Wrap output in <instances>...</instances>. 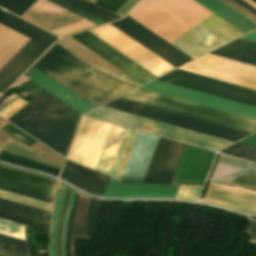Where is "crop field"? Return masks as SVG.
<instances>
[{"label": "crop field", "instance_id": "crop-field-1", "mask_svg": "<svg viewBox=\"0 0 256 256\" xmlns=\"http://www.w3.org/2000/svg\"><path fill=\"white\" fill-rule=\"evenodd\" d=\"M128 15L170 43L212 13L193 0H142ZM128 15L110 24L175 68L225 44L198 25L171 43L191 59Z\"/></svg>", "mask_w": 256, "mask_h": 256}, {"label": "crop field", "instance_id": "crop-field-2", "mask_svg": "<svg viewBox=\"0 0 256 256\" xmlns=\"http://www.w3.org/2000/svg\"><path fill=\"white\" fill-rule=\"evenodd\" d=\"M24 76L81 114L95 108L33 67ZM45 90L8 121L65 156L81 114Z\"/></svg>", "mask_w": 256, "mask_h": 256}, {"label": "crop field", "instance_id": "crop-field-3", "mask_svg": "<svg viewBox=\"0 0 256 256\" xmlns=\"http://www.w3.org/2000/svg\"><path fill=\"white\" fill-rule=\"evenodd\" d=\"M33 67L95 107L136 87L94 70L56 44Z\"/></svg>", "mask_w": 256, "mask_h": 256}, {"label": "crop field", "instance_id": "crop-field-4", "mask_svg": "<svg viewBox=\"0 0 256 256\" xmlns=\"http://www.w3.org/2000/svg\"><path fill=\"white\" fill-rule=\"evenodd\" d=\"M92 30L99 34L101 39L157 77L175 69L109 24ZM93 31L91 32L97 35ZM71 37L141 84L156 78L88 31Z\"/></svg>", "mask_w": 256, "mask_h": 256}, {"label": "crop field", "instance_id": "crop-field-5", "mask_svg": "<svg viewBox=\"0 0 256 256\" xmlns=\"http://www.w3.org/2000/svg\"><path fill=\"white\" fill-rule=\"evenodd\" d=\"M0 24L47 47L57 39L8 13L0 19ZM2 25H0V68L29 40ZM31 39L0 69V93L47 49Z\"/></svg>", "mask_w": 256, "mask_h": 256}, {"label": "crop field", "instance_id": "crop-field-6", "mask_svg": "<svg viewBox=\"0 0 256 256\" xmlns=\"http://www.w3.org/2000/svg\"><path fill=\"white\" fill-rule=\"evenodd\" d=\"M211 181L256 191V165L220 155ZM212 182L200 201L256 214L255 191Z\"/></svg>", "mask_w": 256, "mask_h": 256}, {"label": "crop field", "instance_id": "crop-field-7", "mask_svg": "<svg viewBox=\"0 0 256 256\" xmlns=\"http://www.w3.org/2000/svg\"><path fill=\"white\" fill-rule=\"evenodd\" d=\"M158 138L139 133L121 181H142ZM184 146L160 137L142 182L170 184Z\"/></svg>", "mask_w": 256, "mask_h": 256}, {"label": "crop field", "instance_id": "crop-field-8", "mask_svg": "<svg viewBox=\"0 0 256 256\" xmlns=\"http://www.w3.org/2000/svg\"><path fill=\"white\" fill-rule=\"evenodd\" d=\"M109 125L83 117L67 159L93 170ZM138 133L125 129L108 176L121 180Z\"/></svg>", "mask_w": 256, "mask_h": 256}, {"label": "crop field", "instance_id": "crop-field-9", "mask_svg": "<svg viewBox=\"0 0 256 256\" xmlns=\"http://www.w3.org/2000/svg\"><path fill=\"white\" fill-rule=\"evenodd\" d=\"M84 115L213 151L233 143L103 106Z\"/></svg>", "mask_w": 256, "mask_h": 256}, {"label": "crop field", "instance_id": "crop-field-10", "mask_svg": "<svg viewBox=\"0 0 256 256\" xmlns=\"http://www.w3.org/2000/svg\"><path fill=\"white\" fill-rule=\"evenodd\" d=\"M121 98L144 103L180 114L192 116L243 131L256 132V121L237 116L227 112L219 111L209 107L201 106L191 102L183 101L173 97L165 96L144 89H136Z\"/></svg>", "mask_w": 256, "mask_h": 256}, {"label": "crop field", "instance_id": "crop-field-11", "mask_svg": "<svg viewBox=\"0 0 256 256\" xmlns=\"http://www.w3.org/2000/svg\"><path fill=\"white\" fill-rule=\"evenodd\" d=\"M103 106L236 142L251 133L118 98Z\"/></svg>", "mask_w": 256, "mask_h": 256}, {"label": "crop field", "instance_id": "crop-field-12", "mask_svg": "<svg viewBox=\"0 0 256 256\" xmlns=\"http://www.w3.org/2000/svg\"><path fill=\"white\" fill-rule=\"evenodd\" d=\"M156 80L256 107V91L175 69Z\"/></svg>", "mask_w": 256, "mask_h": 256}, {"label": "crop field", "instance_id": "crop-field-13", "mask_svg": "<svg viewBox=\"0 0 256 256\" xmlns=\"http://www.w3.org/2000/svg\"><path fill=\"white\" fill-rule=\"evenodd\" d=\"M140 88L227 111L256 120V108L153 80Z\"/></svg>", "mask_w": 256, "mask_h": 256}, {"label": "crop field", "instance_id": "crop-field-14", "mask_svg": "<svg viewBox=\"0 0 256 256\" xmlns=\"http://www.w3.org/2000/svg\"><path fill=\"white\" fill-rule=\"evenodd\" d=\"M0 180L9 182L12 184H16L19 186L27 187L30 189H34L37 191L45 192L48 194H52V195L57 185V183H54L50 180H47L38 176L26 174V173L14 171L1 166H0ZM1 181H0V190H4L7 192H11L14 194L22 195L25 197L33 198L36 200H40V201L52 204V195L37 192L34 190H30L27 188L19 187V186L1 182Z\"/></svg>", "mask_w": 256, "mask_h": 256}, {"label": "crop field", "instance_id": "crop-field-15", "mask_svg": "<svg viewBox=\"0 0 256 256\" xmlns=\"http://www.w3.org/2000/svg\"><path fill=\"white\" fill-rule=\"evenodd\" d=\"M118 182L109 179L103 196L175 198L180 187L170 185L130 184Z\"/></svg>", "mask_w": 256, "mask_h": 256}, {"label": "crop field", "instance_id": "crop-field-16", "mask_svg": "<svg viewBox=\"0 0 256 256\" xmlns=\"http://www.w3.org/2000/svg\"><path fill=\"white\" fill-rule=\"evenodd\" d=\"M60 179L91 194L101 196L107 182V177L87 170L83 167L66 162Z\"/></svg>", "mask_w": 256, "mask_h": 256}, {"label": "crop field", "instance_id": "crop-field-17", "mask_svg": "<svg viewBox=\"0 0 256 256\" xmlns=\"http://www.w3.org/2000/svg\"><path fill=\"white\" fill-rule=\"evenodd\" d=\"M59 45L94 67L95 69L119 78L125 75L123 72L73 40L72 38L62 41Z\"/></svg>", "mask_w": 256, "mask_h": 256}, {"label": "crop field", "instance_id": "crop-field-18", "mask_svg": "<svg viewBox=\"0 0 256 256\" xmlns=\"http://www.w3.org/2000/svg\"><path fill=\"white\" fill-rule=\"evenodd\" d=\"M201 5L215 13L218 17L246 34L254 29L256 25L220 2L219 0H195Z\"/></svg>", "mask_w": 256, "mask_h": 256}, {"label": "crop field", "instance_id": "crop-field-19", "mask_svg": "<svg viewBox=\"0 0 256 256\" xmlns=\"http://www.w3.org/2000/svg\"><path fill=\"white\" fill-rule=\"evenodd\" d=\"M0 233L25 240L24 226L0 219ZM0 234V249L26 256L25 241Z\"/></svg>", "mask_w": 256, "mask_h": 256}, {"label": "crop field", "instance_id": "crop-field-20", "mask_svg": "<svg viewBox=\"0 0 256 256\" xmlns=\"http://www.w3.org/2000/svg\"><path fill=\"white\" fill-rule=\"evenodd\" d=\"M241 39V38H240ZM237 39L210 54L256 66V43Z\"/></svg>", "mask_w": 256, "mask_h": 256}, {"label": "crop field", "instance_id": "crop-field-21", "mask_svg": "<svg viewBox=\"0 0 256 256\" xmlns=\"http://www.w3.org/2000/svg\"><path fill=\"white\" fill-rule=\"evenodd\" d=\"M0 211L48 225L51 216L50 212L21 205L4 199H0Z\"/></svg>", "mask_w": 256, "mask_h": 256}, {"label": "crop field", "instance_id": "crop-field-22", "mask_svg": "<svg viewBox=\"0 0 256 256\" xmlns=\"http://www.w3.org/2000/svg\"><path fill=\"white\" fill-rule=\"evenodd\" d=\"M90 198L79 194L74 223L71 230V256H75V239H83Z\"/></svg>", "mask_w": 256, "mask_h": 256}, {"label": "crop field", "instance_id": "crop-field-23", "mask_svg": "<svg viewBox=\"0 0 256 256\" xmlns=\"http://www.w3.org/2000/svg\"><path fill=\"white\" fill-rule=\"evenodd\" d=\"M64 192H65V188L59 185L57 189L56 197H55V206H54L53 219H52V230L50 233V256H56L55 243H56V235L58 230L60 212H61V208L64 200Z\"/></svg>", "mask_w": 256, "mask_h": 256}, {"label": "crop field", "instance_id": "crop-field-24", "mask_svg": "<svg viewBox=\"0 0 256 256\" xmlns=\"http://www.w3.org/2000/svg\"><path fill=\"white\" fill-rule=\"evenodd\" d=\"M0 160H4V161L10 162V163L28 167V168H31L34 170L47 172V173L53 174L55 176H57L60 171L59 169H56V168H53V167H50L47 165H43V164L28 160V159H25V158H22V157H19L16 155H12V154H9V153L3 152V151L0 154Z\"/></svg>", "mask_w": 256, "mask_h": 256}, {"label": "crop field", "instance_id": "crop-field-25", "mask_svg": "<svg viewBox=\"0 0 256 256\" xmlns=\"http://www.w3.org/2000/svg\"><path fill=\"white\" fill-rule=\"evenodd\" d=\"M105 22L118 18V16L86 1V0H63Z\"/></svg>", "mask_w": 256, "mask_h": 256}, {"label": "crop field", "instance_id": "crop-field-26", "mask_svg": "<svg viewBox=\"0 0 256 256\" xmlns=\"http://www.w3.org/2000/svg\"><path fill=\"white\" fill-rule=\"evenodd\" d=\"M219 152L256 162V147L244 143L237 142Z\"/></svg>", "mask_w": 256, "mask_h": 256}, {"label": "crop field", "instance_id": "crop-field-27", "mask_svg": "<svg viewBox=\"0 0 256 256\" xmlns=\"http://www.w3.org/2000/svg\"><path fill=\"white\" fill-rule=\"evenodd\" d=\"M127 0H97L95 4L104 7L112 12H116ZM138 0H128L116 14L121 17L137 2Z\"/></svg>", "mask_w": 256, "mask_h": 256}, {"label": "crop field", "instance_id": "crop-field-28", "mask_svg": "<svg viewBox=\"0 0 256 256\" xmlns=\"http://www.w3.org/2000/svg\"><path fill=\"white\" fill-rule=\"evenodd\" d=\"M100 210V201L92 199L90 201L84 239L90 240L93 235L94 227Z\"/></svg>", "mask_w": 256, "mask_h": 256}, {"label": "crop field", "instance_id": "crop-field-29", "mask_svg": "<svg viewBox=\"0 0 256 256\" xmlns=\"http://www.w3.org/2000/svg\"><path fill=\"white\" fill-rule=\"evenodd\" d=\"M92 25H95V24H93L85 19H82L80 21H77V22L59 27L57 29L51 30L50 32L61 37V36L67 35L69 33L87 28Z\"/></svg>", "mask_w": 256, "mask_h": 256}, {"label": "crop field", "instance_id": "crop-field-30", "mask_svg": "<svg viewBox=\"0 0 256 256\" xmlns=\"http://www.w3.org/2000/svg\"><path fill=\"white\" fill-rule=\"evenodd\" d=\"M0 131L25 143L29 147H31L33 144L37 142L32 138L28 137L27 135L23 134L22 132L18 131L8 123L2 129H0Z\"/></svg>", "mask_w": 256, "mask_h": 256}, {"label": "crop field", "instance_id": "crop-field-31", "mask_svg": "<svg viewBox=\"0 0 256 256\" xmlns=\"http://www.w3.org/2000/svg\"><path fill=\"white\" fill-rule=\"evenodd\" d=\"M202 187L181 186L176 198L198 200Z\"/></svg>", "mask_w": 256, "mask_h": 256}, {"label": "crop field", "instance_id": "crop-field-32", "mask_svg": "<svg viewBox=\"0 0 256 256\" xmlns=\"http://www.w3.org/2000/svg\"><path fill=\"white\" fill-rule=\"evenodd\" d=\"M26 104H27V102L18 98L14 102H12L10 105L5 107L3 110H1L0 115L8 120L10 117H12L17 111H19Z\"/></svg>", "mask_w": 256, "mask_h": 256}, {"label": "crop field", "instance_id": "crop-field-33", "mask_svg": "<svg viewBox=\"0 0 256 256\" xmlns=\"http://www.w3.org/2000/svg\"><path fill=\"white\" fill-rule=\"evenodd\" d=\"M0 218L11 220V221H14V222H18V223H21V224L29 225V226L36 227V228L43 229V230H47V231H48V228H49L48 225H44V224L37 223V222H34V221L26 220V219L19 218V217H16V216H12V215H9V214H5V213H2V212H0Z\"/></svg>", "mask_w": 256, "mask_h": 256}, {"label": "crop field", "instance_id": "crop-field-34", "mask_svg": "<svg viewBox=\"0 0 256 256\" xmlns=\"http://www.w3.org/2000/svg\"><path fill=\"white\" fill-rule=\"evenodd\" d=\"M31 7L46 10L49 12H66L67 11L47 0H37Z\"/></svg>", "mask_w": 256, "mask_h": 256}, {"label": "crop field", "instance_id": "crop-field-35", "mask_svg": "<svg viewBox=\"0 0 256 256\" xmlns=\"http://www.w3.org/2000/svg\"><path fill=\"white\" fill-rule=\"evenodd\" d=\"M73 194H74V192L71 191L70 203H69V206H68V209H67V212H66L64 225H63L62 240H61V256H65L66 229H67V222H68L69 213H70V210H71V207H72Z\"/></svg>", "mask_w": 256, "mask_h": 256}, {"label": "crop field", "instance_id": "crop-field-36", "mask_svg": "<svg viewBox=\"0 0 256 256\" xmlns=\"http://www.w3.org/2000/svg\"><path fill=\"white\" fill-rule=\"evenodd\" d=\"M77 196H78V194L75 193L74 207H73V210L70 215L69 222H68L67 239H66V256H70V230H71V226H72V222H73V218H74Z\"/></svg>", "mask_w": 256, "mask_h": 256}, {"label": "crop field", "instance_id": "crop-field-37", "mask_svg": "<svg viewBox=\"0 0 256 256\" xmlns=\"http://www.w3.org/2000/svg\"><path fill=\"white\" fill-rule=\"evenodd\" d=\"M25 0H0V7L13 12Z\"/></svg>", "mask_w": 256, "mask_h": 256}, {"label": "crop field", "instance_id": "crop-field-38", "mask_svg": "<svg viewBox=\"0 0 256 256\" xmlns=\"http://www.w3.org/2000/svg\"><path fill=\"white\" fill-rule=\"evenodd\" d=\"M223 1L229 4L230 6H232L233 8H235L236 10H238L239 12H241L242 14H244L245 16H247L248 18H250L251 20H253L254 22H256L255 15H253L252 13H250L249 11H247L246 9H244L234 1L232 0H223Z\"/></svg>", "mask_w": 256, "mask_h": 256}, {"label": "crop field", "instance_id": "crop-field-39", "mask_svg": "<svg viewBox=\"0 0 256 256\" xmlns=\"http://www.w3.org/2000/svg\"><path fill=\"white\" fill-rule=\"evenodd\" d=\"M244 233L251 235L248 243L256 245V222L250 220Z\"/></svg>", "mask_w": 256, "mask_h": 256}, {"label": "crop field", "instance_id": "crop-field-40", "mask_svg": "<svg viewBox=\"0 0 256 256\" xmlns=\"http://www.w3.org/2000/svg\"><path fill=\"white\" fill-rule=\"evenodd\" d=\"M35 0H26L20 7H18L13 13L21 15Z\"/></svg>", "mask_w": 256, "mask_h": 256}, {"label": "crop field", "instance_id": "crop-field-41", "mask_svg": "<svg viewBox=\"0 0 256 256\" xmlns=\"http://www.w3.org/2000/svg\"><path fill=\"white\" fill-rule=\"evenodd\" d=\"M50 1H52V2L62 6L64 8H66V9H68V10H70V11L76 13V14L80 11V10H78V9H76V8H74V7H72V6L68 5V4L60 1V0H50Z\"/></svg>", "mask_w": 256, "mask_h": 256}, {"label": "crop field", "instance_id": "crop-field-42", "mask_svg": "<svg viewBox=\"0 0 256 256\" xmlns=\"http://www.w3.org/2000/svg\"><path fill=\"white\" fill-rule=\"evenodd\" d=\"M241 39H244V40H248V41H252V42H256V30L241 37Z\"/></svg>", "mask_w": 256, "mask_h": 256}, {"label": "crop field", "instance_id": "crop-field-43", "mask_svg": "<svg viewBox=\"0 0 256 256\" xmlns=\"http://www.w3.org/2000/svg\"><path fill=\"white\" fill-rule=\"evenodd\" d=\"M234 1H236L237 3H239L240 5H242L243 7H245L246 9H248L249 11H251L256 15V10L251 6H249L248 4H246L245 2H243L242 0H234Z\"/></svg>", "mask_w": 256, "mask_h": 256}, {"label": "crop field", "instance_id": "crop-field-44", "mask_svg": "<svg viewBox=\"0 0 256 256\" xmlns=\"http://www.w3.org/2000/svg\"><path fill=\"white\" fill-rule=\"evenodd\" d=\"M244 1L247 2L248 4H250L251 6H253L254 8H256V4H254L250 0H244Z\"/></svg>", "mask_w": 256, "mask_h": 256}, {"label": "crop field", "instance_id": "crop-field-45", "mask_svg": "<svg viewBox=\"0 0 256 256\" xmlns=\"http://www.w3.org/2000/svg\"><path fill=\"white\" fill-rule=\"evenodd\" d=\"M6 12L0 10V17L3 16Z\"/></svg>", "mask_w": 256, "mask_h": 256}, {"label": "crop field", "instance_id": "crop-field-46", "mask_svg": "<svg viewBox=\"0 0 256 256\" xmlns=\"http://www.w3.org/2000/svg\"><path fill=\"white\" fill-rule=\"evenodd\" d=\"M89 1H91V2H93V3H94L96 0H89Z\"/></svg>", "mask_w": 256, "mask_h": 256}, {"label": "crop field", "instance_id": "crop-field-47", "mask_svg": "<svg viewBox=\"0 0 256 256\" xmlns=\"http://www.w3.org/2000/svg\"><path fill=\"white\" fill-rule=\"evenodd\" d=\"M251 1H253L254 3H256V0H251Z\"/></svg>", "mask_w": 256, "mask_h": 256}, {"label": "crop field", "instance_id": "crop-field-48", "mask_svg": "<svg viewBox=\"0 0 256 256\" xmlns=\"http://www.w3.org/2000/svg\"><path fill=\"white\" fill-rule=\"evenodd\" d=\"M250 217H253V216H250ZM253 218H256V217H253Z\"/></svg>", "mask_w": 256, "mask_h": 256}]
</instances>
